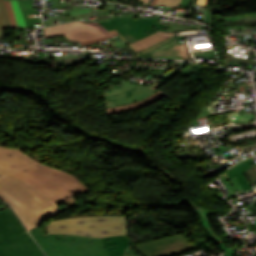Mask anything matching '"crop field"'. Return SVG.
Masks as SVG:
<instances>
[{"label": "crop field", "instance_id": "1", "mask_svg": "<svg viewBox=\"0 0 256 256\" xmlns=\"http://www.w3.org/2000/svg\"><path fill=\"white\" fill-rule=\"evenodd\" d=\"M0 166L40 190L56 203L76 194L90 192L72 175L39 164L16 148L0 146Z\"/></svg>", "mask_w": 256, "mask_h": 256}, {"label": "crop field", "instance_id": "2", "mask_svg": "<svg viewBox=\"0 0 256 256\" xmlns=\"http://www.w3.org/2000/svg\"><path fill=\"white\" fill-rule=\"evenodd\" d=\"M47 256H136L128 236L89 237L29 231Z\"/></svg>", "mask_w": 256, "mask_h": 256}, {"label": "crop field", "instance_id": "3", "mask_svg": "<svg viewBox=\"0 0 256 256\" xmlns=\"http://www.w3.org/2000/svg\"><path fill=\"white\" fill-rule=\"evenodd\" d=\"M0 198L12 207L28 229L63 211L49 197L2 167Z\"/></svg>", "mask_w": 256, "mask_h": 256}, {"label": "crop field", "instance_id": "4", "mask_svg": "<svg viewBox=\"0 0 256 256\" xmlns=\"http://www.w3.org/2000/svg\"><path fill=\"white\" fill-rule=\"evenodd\" d=\"M48 230L49 233L99 237L127 235L126 217L122 216H91L52 221Z\"/></svg>", "mask_w": 256, "mask_h": 256}, {"label": "crop field", "instance_id": "5", "mask_svg": "<svg viewBox=\"0 0 256 256\" xmlns=\"http://www.w3.org/2000/svg\"><path fill=\"white\" fill-rule=\"evenodd\" d=\"M0 256H45L10 208L0 211Z\"/></svg>", "mask_w": 256, "mask_h": 256}, {"label": "crop field", "instance_id": "6", "mask_svg": "<svg viewBox=\"0 0 256 256\" xmlns=\"http://www.w3.org/2000/svg\"><path fill=\"white\" fill-rule=\"evenodd\" d=\"M134 19L132 14L97 21L107 31L116 29L130 44L158 30L166 31L170 25L158 23L159 15Z\"/></svg>", "mask_w": 256, "mask_h": 256}, {"label": "crop field", "instance_id": "7", "mask_svg": "<svg viewBox=\"0 0 256 256\" xmlns=\"http://www.w3.org/2000/svg\"><path fill=\"white\" fill-rule=\"evenodd\" d=\"M143 256H171L195 249L181 234L135 245Z\"/></svg>", "mask_w": 256, "mask_h": 256}, {"label": "crop field", "instance_id": "8", "mask_svg": "<svg viewBox=\"0 0 256 256\" xmlns=\"http://www.w3.org/2000/svg\"><path fill=\"white\" fill-rule=\"evenodd\" d=\"M67 33H70L72 38L78 37L79 41H86L105 36L93 26L80 21L44 28L45 38L55 37Z\"/></svg>", "mask_w": 256, "mask_h": 256}, {"label": "crop field", "instance_id": "9", "mask_svg": "<svg viewBox=\"0 0 256 256\" xmlns=\"http://www.w3.org/2000/svg\"><path fill=\"white\" fill-rule=\"evenodd\" d=\"M254 165L256 164L252 162V157L247 158L231 167L226 173L230 178L235 176L243 190L252 189L242 172Z\"/></svg>", "mask_w": 256, "mask_h": 256}, {"label": "crop field", "instance_id": "10", "mask_svg": "<svg viewBox=\"0 0 256 256\" xmlns=\"http://www.w3.org/2000/svg\"><path fill=\"white\" fill-rule=\"evenodd\" d=\"M165 96H167V95L158 91V92H156V94H154L142 101L135 102L133 104H129V105L121 106V107H114V108L106 109V112H107V115H110V114H116V113L127 112V111H131V110H135V109H140L148 104L158 101L159 99H161Z\"/></svg>", "mask_w": 256, "mask_h": 256}, {"label": "crop field", "instance_id": "11", "mask_svg": "<svg viewBox=\"0 0 256 256\" xmlns=\"http://www.w3.org/2000/svg\"><path fill=\"white\" fill-rule=\"evenodd\" d=\"M198 213L200 215L201 224L204 227L206 233L212 238L214 243L218 244L222 248V250L226 252L224 256H237L236 249L227 248L225 242L220 239L216 233L211 231L212 227L208 224L207 219L203 217V214L199 210Z\"/></svg>", "mask_w": 256, "mask_h": 256}, {"label": "crop field", "instance_id": "12", "mask_svg": "<svg viewBox=\"0 0 256 256\" xmlns=\"http://www.w3.org/2000/svg\"><path fill=\"white\" fill-rule=\"evenodd\" d=\"M174 34L175 33H165V32L158 31L150 36H147V37L131 44V46H133L139 52V51H141L155 43H158Z\"/></svg>", "mask_w": 256, "mask_h": 256}, {"label": "crop field", "instance_id": "13", "mask_svg": "<svg viewBox=\"0 0 256 256\" xmlns=\"http://www.w3.org/2000/svg\"><path fill=\"white\" fill-rule=\"evenodd\" d=\"M19 5L26 23L27 27H31L30 22H36V21H41L40 17H35V18H29L27 15L31 14H37L40 12H35L34 7H33V2L32 0H18Z\"/></svg>", "mask_w": 256, "mask_h": 256}, {"label": "crop field", "instance_id": "14", "mask_svg": "<svg viewBox=\"0 0 256 256\" xmlns=\"http://www.w3.org/2000/svg\"><path fill=\"white\" fill-rule=\"evenodd\" d=\"M11 23L4 0H0V36H3L2 28H10Z\"/></svg>", "mask_w": 256, "mask_h": 256}, {"label": "crop field", "instance_id": "15", "mask_svg": "<svg viewBox=\"0 0 256 256\" xmlns=\"http://www.w3.org/2000/svg\"><path fill=\"white\" fill-rule=\"evenodd\" d=\"M89 24H91V25L95 26L96 28H98L100 31H102V32H103L104 34H106L107 36L101 37V38H98V39H94V40H90V41H86V42H81L82 45L92 44V43H95V42H97V41H101V40L110 38V37H112V36L118 35V33H117L116 31L107 32L101 25H99V24L96 23V22H89Z\"/></svg>", "mask_w": 256, "mask_h": 256}, {"label": "crop field", "instance_id": "16", "mask_svg": "<svg viewBox=\"0 0 256 256\" xmlns=\"http://www.w3.org/2000/svg\"><path fill=\"white\" fill-rule=\"evenodd\" d=\"M19 27H26L17 0H10Z\"/></svg>", "mask_w": 256, "mask_h": 256}, {"label": "crop field", "instance_id": "17", "mask_svg": "<svg viewBox=\"0 0 256 256\" xmlns=\"http://www.w3.org/2000/svg\"><path fill=\"white\" fill-rule=\"evenodd\" d=\"M175 39H177V37H176V35L175 36H173V37H171V38H169V39H166V40H164V41H162V42H160V43H158V44H155V45H153V46H151V47H149V48H147V49H145V50H143L142 52H140L139 54H145V53H147V52H149V51H151V50H153V49H155V48H158V47H160V46H162V45H164V44H167V43H169V42H171V41H173V40H175Z\"/></svg>", "mask_w": 256, "mask_h": 256}, {"label": "crop field", "instance_id": "18", "mask_svg": "<svg viewBox=\"0 0 256 256\" xmlns=\"http://www.w3.org/2000/svg\"><path fill=\"white\" fill-rule=\"evenodd\" d=\"M181 0H157L156 4L177 7Z\"/></svg>", "mask_w": 256, "mask_h": 256}, {"label": "crop field", "instance_id": "19", "mask_svg": "<svg viewBox=\"0 0 256 256\" xmlns=\"http://www.w3.org/2000/svg\"><path fill=\"white\" fill-rule=\"evenodd\" d=\"M5 2H6V6H7V9H8V12H9V16H10V19H11V22H12V26L13 27H18L17 23H16V20H15V17H14V13H13L10 1L7 0Z\"/></svg>", "mask_w": 256, "mask_h": 256}, {"label": "crop field", "instance_id": "20", "mask_svg": "<svg viewBox=\"0 0 256 256\" xmlns=\"http://www.w3.org/2000/svg\"><path fill=\"white\" fill-rule=\"evenodd\" d=\"M59 0H54L52 9L58 8Z\"/></svg>", "mask_w": 256, "mask_h": 256}, {"label": "crop field", "instance_id": "21", "mask_svg": "<svg viewBox=\"0 0 256 256\" xmlns=\"http://www.w3.org/2000/svg\"><path fill=\"white\" fill-rule=\"evenodd\" d=\"M139 2H145V3H147L148 0H139Z\"/></svg>", "mask_w": 256, "mask_h": 256}, {"label": "crop field", "instance_id": "22", "mask_svg": "<svg viewBox=\"0 0 256 256\" xmlns=\"http://www.w3.org/2000/svg\"><path fill=\"white\" fill-rule=\"evenodd\" d=\"M203 214H204V216H206V217H207V214H208V213H206V212H203ZM208 220L210 221V219H208Z\"/></svg>", "mask_w": 256, "mask_h": 256}, {"label": "crop field", "instance_id": "23", "mask_svg": "<svg viewBox=\"0 0 256 256\" xmlns=\"http://www.w3.org/2000/svg\"><path fill=\"white\" fill-rule=\"evenodd\" d=\"M155 2H156V0H153V1H152V4H155Z\"/></svg>", "mask_w": 256, "mask_h": 256}]
</instances>
